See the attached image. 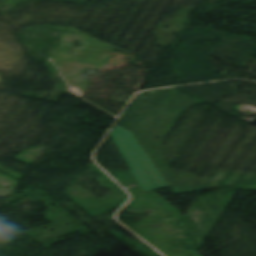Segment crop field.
Wrapping results in <instances>:
<instances>
[{
    "mask_svg": "<svg viewBox=\"0 0 256 256\" xmlns=\"http://www.w3.org/2000/svg\"><path fill=\"white\" fill-rule=\"evenodd\" d=\"M131 134L115 125L110 135L143 192L169 186Z\"/></svg>",
    "mask_w": 256,
    "mask_h": 256,
    "instance_id": "8a807250",
    "label": "crop field"
}]
</instances>
